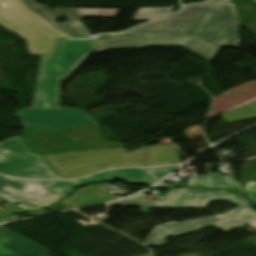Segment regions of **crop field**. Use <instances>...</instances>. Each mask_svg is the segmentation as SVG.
Listing matches in <instances>:
<instances>
[{
    "label": "crop field",
    "mask_w": 256,
    "mask_h": 256,
    "mask_svg": "<svg viewBox=\"0 0 256 256\" xmlns=\"http://www.w3.org/2000/svg\"><path fill=\"white\" fill-rule=\"evenodd\" d=\"M233 0H207L126 33L99 35L96 52L106 49L182 46L210 61L222 46L238 45V19ZM256 2V0H254ZM169 35L170 37L113 38Z\"/></svg>",
    "instance_id": "obj_1"
},
{
    "label": "crop field",
    "mask_w": 256,
    "mask_h": 256,
    "mask_svg": "<svg viewBox=\"0 0 256 256\" xmlns=\"http://www.w3.org/2000/svg\"><path fill=\"white\" fill-rule=\"evenodd\" d=\"M97 39L56 40L53 56H42L38 84L31 109L18 115L24 127L97 125L88 113L56 107L59 80L71 73L95 51Z\"/></svg>",
    "instance_id": "obj_2"
},
{
    "label": "crop field",
    "mask_w": 256,
    "mask_h": 256,
    "mask_svg": "<svg viewBox=\"0 0 256 256\" xmlns=\"http://www.w3.org/2000/svg\"><path fill=\"white\" fill-rule=\"evenodd\" d=\"M100 126L25 128L22 141L37 155L119 148L122 142L105 140Z\"/></svg>",
    "instance_id": "obj_3"
},
{
    "label": "crop field",
    "mask_w": 256,
    "mask_h": 256,
    "mask_svg": "<svg viewBox=\"0 0 256 256\" xmlns=\"http://www.w3.org/2000/svg\"><path fill=\"white\" fill-rule=\"evenodd\" d=\"M0 25L25 38L33 55H53L55 39L74 38L30 10L24 0H0Z\"/></svg>",
    "instance_id": "obj_4"
},
{
    "label": "crop field",
    "mask_w": 256,
    "mask_h": 256,
    "mask_svg": "<svg viewBox=\"0 0 256 256\" xmlns=\"http://www.w3.org/2000/svg\"><path fill=\"white\" fill-rule=\"evenodd\" d=\"M145 147L126 153L124 148L43 156L66 179L112 167L145 166Z\"/></svg>",
    "instance_id": "obj_5"
},
{
    "label": "crop field",
    "mask_w": 256,
    "mask_h": 256,
    "mask_svg": "<svg viewBox=\"0 0 256 256\" xmlns=\"http://www.w3.org/2000/svg\"><path fill=\"white\" fill-rule=\"evenodd\" d=\"M0 173L32 179H63L45 160L32 154L20 137L0 143Z\"/></svg>",
    "instance_id": "obj_6"
},
{
    "label": "crop field",
    "mask_w": 256,
    "mask_h": 256,
    "mask_svg": "<svg viewBox=\"0 0 256 256\" xmlns=\"http://www.w3.org/2000/svg\"><path fill=\"white\" fill-rule=\"evenodd\" d=\"M53 183L55 182L24 181L0 176V195L28 211L39 210L66 196L48 186ZM31 187H40L45 193H32L15 201L11 200L30 192L28 189Z\"/></svg>",
    "instance_id": "obj_7"
},
{
    "label": "crop field",
    "mask_w": 256,
    "mask_h": 256,
    "mask_svg": "<svg viewBox=\"0 0 256 256\" xmlns=\"http://www.w3.org/2000/svg\"><path fill=\"white\" fill-rule=\"evenodd\" d=\"M25 1L29 8L37 14L51 22L55 27L76 38H90L92 35L81 23L80 20H83L81 16L114 17L118 11V9L57 8L69 22L56 24L54 23L58 20L56 17L61 16V14L55 8H48L32 0Z\"/></svg>",
    "instance_id": "obj_8"
},
{
    "label": "crop field",
    "mask_w": 256,
    "mask_h": 256,
    "mask_svg": "<svg viewBox=\"0 0 256 256\" xmlns=\"http://www.w3.org/2000/svg\"><path fill=\"white\" fill-rule=\"evenodd\" d=\"M210 225L218 228L225 233L237 228L221 220L217 216L190 220L183 223L171 222L168 224L157 226L147 238V240L144 242V244L153 247H160L162 246L168 235L175 238L199 231Z\"/></svg>",
    "instance_id": "obj_9"
},
{
    "label": "crop field",
    "mask_w": 256,
    "mask_h": 256,
    "mask_svg": "<svg viewBox=\"0 0 256 256\" xmlns=\"http://www.w3.org/2000/svg\"><path fill=\"white\" fill-rule=\"evenodd\" d=\"M0 256H47L49 250L0 226Z\"/></svg>",
    "instance_id": "obj_10"
},
{
    "label": "crop field",
    "mask_w": 256,
    "mask_h": 256,
    "mask_svg": "<svg viewBox=\"0 0 256 256\" xmlns=\"http://www.w3.org/2000/svg\"><path fill=\"white\" fill-rule=\"evenodd\" d=\"M212 193L202 189L169 190L164 201H154L152 208L206 207ZM171 202V204H169Z\"/></svg>",
    "instance_id": "obj_11"
},
{
    "label": "crop field",
    "mask_w": 256,
    "mask_h": 256,
    "mask_svg": "<svg viewBox=\"0 0 256 256\" xmlns=\"http://www.w3.org/2000/svg\"><path fill=\"white\" fill-rule=\"evenodd\" d=\"M145 163L147 166L180 164L178 150L172 145L146 147Z\"/></svg>",
    "instance_id": "obj_12"
},
{
    "label": "crop field",
    "mask_w": 256,
    "mask_h": 256,
    "mask_svg": "<svg viewBox=\"0 0 256 256\" xmlns=\"http://www.w3.org/2000/svg\"><path fill=\"white\" fill-rule=\"evenodd\" d=\"M149 172L147 171L146 168L116 169V170L108 171L112 179L120 178L123 181L132 183V184L152 185L155 182L160 180V178L154 176Z\"/></svg>",
    "instance_id": "obj_13"
},
{
    "label": "crop field",
    "mask_w": 256,
    "mask_h": 256,
    "mask_svg": "<svg viewBox=\"0 0 256 256\" xmlns=\"http://www.w3.org/2000/svg\"><path fill=\"white\" fill-rule=\"evenodd\" d=\"M234 213L236 215H233ZM231 216L232 218H230ZM219 217L237 227H241L256 219V210L248 202L223 215H219Z\"/></svg>",
    "instance_id": "obj_14"
},
{
    "label": "crop field",
    "mask_w": 256,
    "mask_h": 256,
    "mask_svg": "<svg viewBox=\"0 0 256 256\" xmlns=\"http://www.w3.org/2000/svg\"><path fill=\"white\" fill-rule=\"evenodd\" d=\"M97 181H112V179L110 175L107 173V171H105V172L94 174L86 178L79 179L77 181L58 182L50 186L67 195L69 192H71L74 188L78 186L92 183V182H97Z\"/></svg>",
    "instance_id": "obj_15"
},
{
    "label": "crop field",
    "mask_w": 256,
    "mask_h": 256,
    "mask_svg": "<svg viewBox=\"0 0 256 256\" xmlns=\"http://www.w3.org/2000/svg\"><path fill=\"white\" fill-rule=\"evenodd\" d=\"M208 176L213 188H224L237 193H243L235 176L222 177L218 173H209Z\"/></svg>",
    "instance_id": "obj_16"
},
{
    "label": "crop field",
    "mask_w": 256,
    "mask_h": 256,
    "mask_svg": "<svg viewBox=\"0 0 256 256\" xmlns=\"http://www.w3.org/2000/svg\"><path fill=\"white\" fill-rule=\"evenodd\" d=\"M253 116H256V102L248 104L244 107L236 109V110L229 112L227 114H224L220 117L231 122V121L249 118V117H253Z\"/></svg>",
    "instance_id": "obj_17"
},
{
    "label": "crop field",
    "mask_w": 256,
    "mask_h": 256,
    "mask_svg": "<svg viewBox=\"0 0 256 256\" xmlns=\"http://www.w3.org/2000/svg\"><path fill=\"white\" fill-rule=\"evenodd\" d=\"M175 8H138L133 20L153 19L170 13Z\"/></svg>",
    "instance_id": "obj_18"
},
{
    "label": "crop field",
    "mask_w": 256,
    "mask_h": 256,
    "mask_svg": "<svg viewBox=\"0 0 256 256\" xmlns=\"http://www.w3.org/2000/svg\"><path fill=\"white\" fill-rule=\"evenodd\" d=\"M218 200H223V201L238 204V205L248 202L244 198V196L235 195L229 192L215 191L211 198V201H218Z\"/></svg>",
    "instance_id": "obj_19"
},
{
    "label": "crop field",
    "mask_w": 256,
    "mask_h": 256,
    "mask_svg": "<svg viewBox=\"0 0 256 256\" xmlns=\"http://www.w3.org/2000/svg\"><path fill=\"white\" fill-rule=\"evenodd\" d=\"M143 197H144V195L140 193L134 197L127 198L125 200L118 201V202L120 204H122L123 206L138 205V206H140L139 208L141 209L140 213H145L152 200L143 199Z\"/></svg>",
    "instance_id": "obj_20"
},
{
    "label": "crop field",
    "mask_w": 256,
    "mask_h": 256,
    "mask_svg": "<svg viewBox=\"0 0 256 256\" xmlns=\"http://www.w3.org/2000/svg\"><path fill=\"white\" fill-rule=\"evenodd\" d=\"M189 186L212 188L208 176H192ZM183 187V186H178Z\"/></svg>",
    "instance_id": "obj_21"
},
{
    "label": "crop field",
    "mask_w": 256,
    "mask_h": 256,
    "mask_svg": "<svg viewBox=\"0 0 256 256\" xmlns=\"http://www.w3.org/2000/svg\"><path fill=\"white\" fill-rule=\"evenodd\" d=\"M179 166H174V167H166V168H149L148 171L151 173L163 178L175 169H177Z\"/></svg>",
    "instance_id": "obj_22"
},
{
    "label": "crop field",
    "mask_w": 256,
    "mask_h": 256,
    "mask_svg": "<svg viewBox=\"0 0 256 256\" xmlns=\"http://www.w3.org/2000/svg\"><path fill=\"white\" fill-rule=\"evenodd\" d=\"M245 191L248 192H256V182L249 181L247 185L244 187Z\"/></svg>",
    "instance_id": "obj_23"
},
{
    "label": "crop field",
    "mask_w": 256,
    "mask_h": 256,
    "mask_svg": "<svg viewBox=\"0 0 256 256\" xmlns=\"http://www.w3.org/2000/svg\"><path fill=\"white\" fill-rule=\"evenodd\" d=\"M70 208H68V207H66V206H64V205H62V204H57V205H55V206H53L52 208H50V210L52 211V212H56V211H63V210H69Z\"/></svg>",
    "instance_id": "obj_24"
},
{
    "label": "crop field",
    "mask_w": 256,
    "mask_h": 256,
    "mask_svg": "<svg viewBox=\"0 0 256 256\" xmlns=\"http://www.w3.org/2000/svg\"><path fill=\"white\" fill-rule=\"evenodd\" d=\"M245 194L249 197V199L251 201H253L254 203H256V193H248V192H245Z\"/></svg>",
    "instance_id": "obj_25"
},
{
    "label": "crop field",
    "mask_w": 256,
    "mask_h": 256,
    "mask_svg": "<svg viewBox=\"0 0 256 256\" xmlns=\"http://www.w3.org/2000/svg\"><path fill=\"white\" fill-rule=\"evenodd\" d=\"M32 192H40V193H42V192H44V191H42L41 189H39V188H32V189H30ZM32 192H30V193H32ZM30 193H28V194H30ZM25 195H27V194H25ZM25 195H23V196H25ZM20 197H22V196H20ZM20 197H18V198H20ZM15 199H17V198H15ZM15 199H13V200H15Z\"/></svg>",
    "instance_id": "obj_26"
},
{
    "label": "crop field",
    "mask_w": 256,
    "mask_h": 256,
    "mask_svg": "<svg viewBox=\"0 0 256 256\" xmlns=\"http://www.w3.org/2000/svg\"><path fill=\"white\" fill-rule=\"evenodd\" d=\"M156 187H171V186L168 185V184H166V183H164V182H162L161 184H159V185L156 186Z\"/></svg>",
    "instance_id": "obj_27"
},
{
    "label": "crop field",
    "mask_w": 256,
    "mask_h": 256,
    "mask_svg": "<svg viewBox=\"0 0 256 256\" xmlns=\"http://www.w3.org/2000/svg\"><path fill=\"white\" fill-rule=\"evenodd\" d=\"M248 225H250V226H252V227L256 228V220H255V221H253V222H251V223H248Z\"/></svg>",
    "instance_id": "obj_28"
},
{
    "label": "crop field",
    "mask_w": 256,
    "mask_h": 256,
    "mask_svg": "<svg viewBox=\"0 0 256 256\" xmlns=\"http://www.w3.org/2000/svg\"><path fill=\"white\" fill-rule=\"evenodd\" d=\"M5 201H7V200L4 199V198H2V197H0V204L3 203V202H5ZM7 202H8V201H7Z\"/></svg>",
    "instance_id": "obj_29"
},
{
    "label": "crop field",
    "mask_w": 256,
    "mask_h": 256,
    "mask_svg": "<svg viewBox=\"0 0 256 256\" xmlns=\"http://www.w3.org/2000/svg\"><path fill=\"white\" fill-rule=\"evenodd\" d=\"M254 207H256V205L254 204Z\"/></svg>",
    "instance_id": "obj_30"
}]
</instances>
